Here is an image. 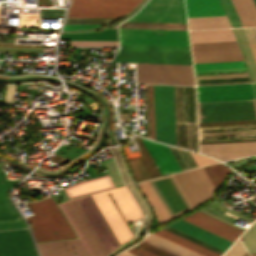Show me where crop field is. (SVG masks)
Returning <instances> with one entry per match:
<instances>
[{
	"mask_svg": "<svg viewBox=\"0 0 256 256\" xmlns=\"http://www.w3.org/2000/svg\"><path fill=\"white\" fill-rule=\"evenodd\" d=\"M59 206L79 239L37 243L41 256H107L120 246L89 195Z\"/></svg>",
	"mask_w": 256,
	"mask_h": 256,
	"instance_id": "8a807250",
	"label": "crop field"
},
{
	"mask_svg": "<svg viewBox=\"0 0 256 256\" xmlns=\"http://www.w3.org/2000/svg\"><path fill=\"white\" fill-rule=\"evenodd\" d=\"M174 177L191 208L216 192L202 168L175 174ZM174 177L169 175L148 181L170 219L191 209Z\"/></svg>",
	"mask_w": 256,
	"mask_h": 256,
	"instance_id": "ac0d7876",
	"label": "crop field"
},
{
	"mask_svg": "<svg viewBox=\"0 0 256 256\" xmlns=\"http://www.w3.org/2000/svg\"><path fill=\"white\" fill-rule=\"evenodd\" d=\"M195 70L246 67L236 41L191 43ZM247 71L246 68L203 70L195 74Z\"/></svg>",
	"mask_w": 256,
	"mask_h": 256,
	"instance_id": "34b2d1b8",
	"label": "crop field"
},
{
	"mask_svg": "<svg viewBox=\"0 0 256 256\" xmlns=\"http://www.w3.org/2000/svg\"><path fill=\"white\" fill-rule=\"evenodd\" d=\"M108 192L111 193L126 221L141 217L140 209L138 210L126 187L91 195L120 244H123L130 239L132 234L106 194Z\"/></svg>",
	"mask_w": 256,
	"mask_h": 256,
	"instance_id": "412701ff",
	"label": "crop field"
},
{
	"mask_svg": "<svg viewBox=\"0 0 256 256\" xmlns=\"http://www.w3.org/2000/svg\"><path fill=\"white\" fill-rule=\"evenodd\" d=\"M29 205L35 215L27 219L37 242L75 237L53 198L29 202Z\"/></svg>",
	"mask_w": 256,
	"mask_h": 256,
	"instance_id": "f4fd0767",
	"label": "crop field"
},
{
	"mask_svg": "<svg viewBox=\"0 0 256 256\" xmlns=\"http://www.w3.org/2000/svg\"><path fill=\"white\" fill-rule=\"evenodd\" d=\"M110 62L192 64L189 47L120 44Z\"/></svg>",
	"mask_w": 256,
	"mask_h": 256,
	"instance_id": "dd49c442",
	"label": "crop field"
},
{
	"mask_svg": "<svg viewBox=\"0 0 256 256\" xmlns=\"http://www.w3.org/2000/svg\"><path fill=\"white\" fill-rule=\"evenodd\" d=\"M156 140L176 145L173 86L153 85Z\"/></svg>",
	"mask_w": 256,
	"mask_h": 256,
	"instance_id": "e52e79f7",
	"label": "crop field"
},
{
	"mask_svg": "<svg viewBox=\"0 0 256 256\" xmlns=\"http://www.w3.org/2000/svg\"><path fill=\"white\" fill-rule=\"evenodd\" d=\"M198 111L199 122L256 119V102L246 100L198 103Z\"/></svg>",
	"mask_w": 256,
	"mask_h": 256,
	"instance_id": "d8731c3e",
	"label": "crop field"
},
{
	"mask_svg": "<svg viewBox=\"0 0 256 256\" xmlns=\"http://www.w3.org/2000/svg\"><path fill=\"white\" fill-rule=\"evenodd\" d=\"M138 83L194 85L192 65L138 64Z\"/></svg>",
	"mask_w": 256,
	"mask_h": 256,
	"instance_id": "5a996713",
	"label": "crop field"
},
{
	"mask_svg": "<svg viewBox=\"0 0 256 256\" xmlns=\"http://www.w3.org/2000/svg\"><path fill=\"white\" fill-rule=\"evenodd\" d=\"M120 43L189 46L187 31L119 28Z\"/></svg>",
	"mask_w": 256,
	"mask_h": 256,
	"instance_id": "3316defc",
	"label": "crop field"
},
{
	"mask_svg": "<svg viewBox=\"0 0 256 256\" xmlns=\"http://www.w3.org/2000/svg\"><path fill=\"white\" fill-rule=\"evenodd\" d=\"M128 21L186 23L183 0H151Z\"/></svg>",
	"mask_w": 256,
	"mask_h": 256,
	"instance_id": "28ad6ade",
	"label": "crop field"
},
{
	"mask_svg": "<svg viewBox=\"0 0 256 256\" xmlns=\"http://www.w3.org/2000/svg\"><path fill=\"white\" fill-rule=\"evenodd\" d=\"M198 102L255 99L252 84L197 86Z\"/></svg>",
	"mask_w": 256,
	"mask_h": 256,
	"instance_id": "d1516ede",
	"label": "crop field"
},
{
	"mask_svg": "<svg viewBox=\"0 0 256 256\" xmlns=\"http://www.w3.org/2000/svg\"><path fill=\"white\" fill-rule=\"evenodd\" d=\"M0 256H38L29 230L0 231Z\"/></svg>",
	"mask_w": 256,
	"mask_h": 256,
	"instance_id": "22f410ed",
	"label": "crop field"
},
{
	"mask_svg": "<svg viewBox=\"0 0 256 256\" xmlns=\"http://www.w3.org/2000/svg\"><path fill=\"white\" fill-rule=\"evenodd\" d=\"M20 180H6L0 165V230L27 227L24 219L9 201L8 190Z\"/></svg>",
	"mask_w": 256,
	"mask_h": 256,
	"instance_id": "cbeb9de0",
	"label": "crop field"
},
{
	"mask_svg": "<svg viewBox=\"0 0 256 256\" xmlns=\"http://www.w3.org/2000/svg\"><path fill=\"white\" fill-rule=\"evenodd\" d=\"M200 152L221 160L256 154V141L200 144Z\"/></svg>",
	"mask_w": 256,
	"mask_h": 256,
	"instance_id": "5142ce71",
	"label": "crop field"
},
{
	"mask_svg": "<svg viewBox=\"0 0 256 256\" xmlns=\"http://www.w3.org/2000/svg\"><path fill=\"white\" fill-rule=\"evenodd\" d=\"M183 220L190 222L194 225H197V226H199L203 229H206L210 232H213L217 235H219L228 226V224H226L220 220H217L211 216H208L200 211L184 218ZM241 233H242V231L229 225L220 234V236L234 242Z\"/></svg>",
	"mask_w": 256,
	"mask_h": 256,
	"instance_id": "d9b57169",
	"label": "crop field"
},
{
	"mask_svg": "<svg viewBox=\"0 0 256 256\" xmlns=\"http://www.w3.org/2000/svg\"><path fill=\"white\" fill-rule=\"evenodd\" d=\"M162 174L181 171L168 146L142 139Z\"/></svg>",
	"mask_w": 256,
	"mask_h": 256,
	"instance_id": "733c2abd",
	"label": "crop field"
},
{
	"mask_svg": "<svg viewBox=\"0 0 256 256\" xmlns=\"http://www.w3.org/2000/svg\"><path fill=\"white\" fill-rule=\"evenodd\" d=\"M170 227L179 230L185 234H188L194 238H197L205 243H208L214 247H217L223 251H225L232 242L223 239L217 235H214L210 232H207L201 228H198L192 224H189L183 220L171 225Z\"/></svg>",
	"mask_w": 256,
	"mask_h": 256,
	"instance_id": "4a817a6b",
	"label": "crop field"
},
{
	"mask_svg": "<svg viewBox=\"0 0 256 256\" xmlns=\"http://www.w3.org/2000/svg\"><path fill=\"white\" fill-rule=\"evenodd\" d=\"M114 185L109 177V175L84 180L82 182H78L74 185L65 187V191L69 198L113 188Z\"/></svg>",
	"mask_w": 256,
	"mask_h": 256,
	"instance_id": "bc2a9ffb",
	"label": "crop field"
},
{
	"mask_svg": "<svg viewBox=\"0 0 256 256\" xmlns=\"http://www.w3.org/2000/svg\"><path fill=\"white\" fill-rule=\"evenodd\" d=\"M134 8L70 7L67 17H119Z\"/></svg>",
	"mask_w": 256,
	"mask_h": 256,
	"instance_id": "214f88e0",
	"label": "crop field"
},
{
	"mask_svg": "<svg viewBox=\"0 0 256 256\" xmlns=\"http://www.w3.org/2000/svg\"><path fill=\"white\" fill-rule=\"evenodd\" d=\"M188 17L225 15L218 0H186Z\"/></svg>",
	"mask_w": 256,
	"mask_h": 256,
	"instance_id": "92a150f3",
	"label": "crop field"
},
{
	"mask_svg": "<svg viewBox=\"0 0 256 256\" xmlns=\"http://www.w3.org/2000/svg\"><path fill=\"white\" fill-rule=\"evenodd\" d=\"M143 241L176 256H201L172 242H169L163 238H160L154 234H149L147 237L143 239Z\"/></svg>",
	"mask_w": 256,
	"mask_h": 256,
	"instance_id": "dafd665d",
	"label": "crop field"
},
{
	"mask_svg": "<svg viewBox=\"0 0 256 256\" xmlns=\"http://www.w3.org/2000/svg\"><path fill=\"white\" fill-rule=\"evenodd\" d=\"M191 42L236 40L231 29L190 31Z\"/></svg>",
	"mask_w": 256,
	"mask_h": 256,
	"instance_id": "00972430",
	"label": "crop field"
},
{
	"mask_svg": "<svg viewBox=\"0 0 256 256\" xmlns=\"http://www.w3.org/2000/svg\"><path fill=\"white\" fill-rule=\"evenodd\" d=\"M244 26L256 25V5L253 0H232Z\"/></svg>",
	"mask_w": 256,
	"mask_h": 256,
	"instance_id": "a9b5d70f",
	"label": "crop field"
},
{
	"mask_svg": "<svg viewBox=\"0 0 256 256\" xmlns=\"http://www.w3.org/2000/svg\"><path fill=\"white\" fill-rule=\"evenodd\" d=\"M238 40L239 46L241 48L242 54L244 56L245 62L247 64L248 70L250 72L251 78L256 82V63L253 58L252 52L248 45L247 39L245 37L244 31L242 28L233 29Z\"/></svg>",
	"mask_w": 256,
	"mask_h": 256,
	"instance_id": "4177f3b9",
	"label": "crop field"
},
{
	"mask_svg": "<svg viewBox=\"0 0 256 256\" xmlns=\"http://www.w3.org/2000/svg\"><path fill=\"white\" fill-rule=\"evenodd\" d=\"M142 0H72L70 6L136 7Z\"/></svg>",
	"mask_w": 256,
	"mask_h": 256,
	"instance_id": "730fd06b",
	"label": "crop field"
},
{
	"mask_svg": "<svg viewBox=\"0 0 256 256\" xmlns=\"http://www.w3.org/2000/svg\"><path fill=\"white\" fill-rule=\"evenodd\" d=\"M155 234H157L163 238H166L172 242H175L183 247H186L194 252H197L203 256H220L212 251H209L199 245H196L188 240H185V239H183L175 234H172L164 229H161V230L155 232Z\"/></svg>",
	"mask_w": 256,
	"mask_h": 256,
	"instance_id": "eef30255",
	"label": "crop field"
},
{
	"mask_svg": "<svg viewBox=\"0 0 256 256\" xmlns=\"http://www.w3.org/2000/svg\"><path fill=\"white\" fill-rule=\"evenodd\" d=\"M139 188L143 192L144 196L148 200L149 204L151 205L154 214L160 223L169 220L168 215L164 211L163 207L161 206L160 202L156 198L155 194L153 193L152 189L148 185L147 181L138 183Z\"/></svg>",
	"mask_w": 256,
	"mask_h": 256,
	"instance_id": "ae1a2a85",
	"label": "crop field"
},
{
	"mask_svg": "<svg viewBox=\"0 0 256 256\" xmlns=\"http://www.w3.org/2000/svg\"><path fill=\"white\" fill-rule=\"evenodd\" d=\"M252 256H256V221L241 235Z\"/></svg>",
	"mask_w": 256,
	"mask_h": 256,
	"instance_id": "d3111659",
	"label": "crop field"
},
{
	"mask_svg": "<svg viewBox=\"0 0 256 256\" xmlns=\"http://www.w3.org/2000/svg\"><path fill=\"white\" fill-rule=\"evenodd\" d=\"M233 27L243 26L231 0H221ZM231 25V26H232Z\"/></svg>",
	"mask_w": 256,
	"mask_h": 256,
	"instance_id": "750c4746",
	"label": "crop field"
},
{
	"mask_svg": "<svg viewBox=\"0 0 256 256\" xmlns=\"http://www.w3.org/2000/svg\"><path fill=\"white\" fill-rule=\"evenodd\" d=\"M104 165H105L107 171L109 172L111 178L113 179L116 187L123 186L124 184H123L122 178L119 174V171L116 167V164H115L113 158L104 162Z\"/></svg>",
	"mask_w": 256,
	"mask_h": 256,
	"instance_id": "bd1437ed",
	"label": "crop field"
},
{
	"mask_svg": "<svg viewBox=\"0 0 256 256\" xmlns=\"http://www.w3.org/2000/svg\"><path fill=\"white\" fill-rule=\"evenodd\" d=\"M74 46H118V41H71Z\"/></svg>",
	"mask_w": 256,
	"mask_h": 256,
	"instance_id": "1d83c4d3",
	"label": "crop field"
},
{
	"mask_svg": "<svg viewBox=\"0 0 256 256\" xmlns=\"http://www.w3.org/2000/svg\"><path fill=\"white\" fill-rule=\"evenodd\" d=\"M210 168L212 169L213 173L217 177L220 184H221L224 176L232 171L229 168H227L225 165H223L222 163L210 165Z\"/></svg>",
	"mask_w": 256,
	"mask_h": 256,
	"instance_id": "120bbe31",
	"label": "crop field"
},
{
	"mask_svg": "<svg viewBox=\"0 0 256 256\" xmlns=\"http://www.w3.org/2000/svg\"><path fill=\"white\" fill-rule=\"evenodd\" d=\"M249 42L256 41V28H243ZM256 60V42L249 43Z\"/></svg>",
	"mask_w": 256,
	"mask_h": 256,
	"instance_id": "d32e631a",
	"label": "crop field"
},
{
	"mask_svg": "<svg viewBox=\"0 0 256 256\" xmlns=\"http://www.w3.org/2000/svg\"><path fill=\"white\" fill-rule=\"evenodd\" d=\"M64 10H51V9H40V17H52V18H63Z\"/></svg>",
	"mask_w": 256,
	"mask_h": 256,
	"instance_id": "5866460e",
	"label": "crop field"
},
{
	"mask_svg": "<svg viewBox=\"0 0 256 256\" xmlns=\"http://www.w3.org/2000/svg\"><path fill=\"white\" fill-rule=\"evenodd\" d=\"M190 154L193 157V159L195 160L198 167L213 164V163H217V161H215L211 158H208L206 156H202V155H198V154H194V153H190Z\"/></svg>",
	"mask_w": 256,
	"mask_h": 256,
	"instance_id": "028f5c9d",
	"label": "crop field"
},
{
	"mask_svg": "<svg viewBox=\"0 0 256 256\" xmlns=\"http://www.w3.org/2000/svg\"><path fill=\"white\" fill-rule=\"evenodd\" d=\"M103 24H65L64 30H78V29H87L95 28Z\"/></svg>",
	"mask_w": 256,
	"mask_h": 256,
	"instance_id": "e1f06a70",
	"label": "crop field"
},
{
	"mask_svg": "<svg viewBox=\"0 0 256 256\" xmlns=\"http://www.w3.org/2000/svg\"><path fill=\"white\" fill-rule=\"evenodd\" d=\"M16 85H8L4 103H13Z\"/></svg>",
	"mask_w": 256,
	"mask_h": 256,
	"instance_id": "0bd39190",
	"label": "crop field"
},
{
	"mask_svg": "<svg viewBox=\"0 0 256 256\" xmlns=\"http://www.w3.org/2000/svg\"><path fill=\"white\" fill-rule=\"evenodd\" d=\"M203 170L205 171L206 175L208 176V178L210 179L211 183L213 184V186L215 187V189L217 190L220 186L219 182L217 181L216 177L214 176V174L212 173L211 169L209 168V166L207 167H203Z\"/></svg>",
	"mask_w": 256,
	"mask_h": 256,
	"instance_id": "b80d0937",
	"label": "crop field"
},
{
	"mask_svg": "<svg viewBox=\"0 0 256 256\" xmlns=\"http://www.w3.org/2000/svg\"><path fill=\"white\" fill-rule=\"evenodd\" d=\"M150 94H151L152 130H153V139H155L152 85H150Z\"/></svg>",
	"mask_w": 256,
	"mask_h": 256,
	"instance_id": "c035e120",
	"label": "crop field"
},
{
	"mask_svg": "<svg viewBox=\"0 0 256 256\" xmlns=\"http://www.w3.org/2000/svg\"><path fill=\"white\" fill-rule=\"evenodd\" d=\"M243 256H249V255H248L247 252H246Z\"/></svg>",
	"mask_w": 256,
	"mask_h": 256,
	"instance_id": "c21b1889",
	"label": "crop field"
},
{
	"mask_svg": "<svg viewBox=\"0 0 256 256\" xmlns=\"http://www.w3.org/2000/svg\"><path fill=\"white\" fill-rule=\"evenodd\" d=\"M254 86H255V91H256V83H254Z\"/></svg>",
	"mask_w": 256,
	"mask_h": 256,
	"instance_id": "03da06ac",
	"label": "crop field"
},
{
	"mask_svg": "<svg viewBox=\"0 0 256 256\" xmlns=\"http://www.w3.org/2000/svg\"><path fill=\"white\" fill-rule=\"evenodd\" d=\"M255 1V3H256V0H254Z\"/></svg>",
	"mask_w": 256,
	"mask_h": 256,
	"instance_id": "b54c1fbb",
	"label": "crop field"
},
{
	"mask_svg": "<svg viewBox=\"0 0 256 256\" xmlns=\"http://www.w3.org/2000/svg\"><path fill=\"white\" fill-rule=\"evenodd\" d=\"M117 256H119V255H117Z\"/></svg>",
	"mask_w": 256,
	"mask_h": 256,
	"instance_id": "5d738f31",
	"label": "crop field"
}]
</instances>
